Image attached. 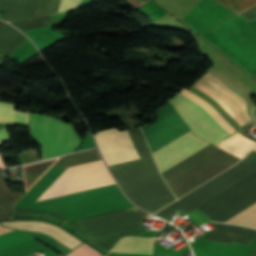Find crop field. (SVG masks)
I'll return each instance as SVG.
<instances>
[{"label": "crop field", "mask_w": 256, "mask_h": 256, "mask_svg": "<svg viewBox=\"0 0 256 256\" xmlns=\"http://www.w3.org/2000/svg\"><path fill=\"white\" fill-rule=\"evenodd\" d=\"M116 167L135 197L128 190ZM116 167L111 166L110 169L123 192L142 209L155 213L153 210L158 211L175 201L174 196L160 177L152 157L119 164ZM133 197L153 210L143 206Z\"/></svg>", "instance_id": "8a807250"}, {"label": "crop field", "mask_w": 256, "mask_h": 256, "mask_svg": "<svg viewBox=\"0 0 256 256\" xmlns=\"http://www.w3.org/2000/svg\"><path fill=\"white\" fill-rule=\"evenodd\" d=\"M239 160L211 144L162 175L171 191L179 198Z\"/></svg>", "instance_id": "ac0d7876"}, {"label": "crop field", "mask_w": 256, "mask_h": 256, "mask_svg": "<svg viewBox=\"0 0 256 256\" xmlns=\"http://www.w3.org/2000/svg\"><path fill=\"white\" fill-rule=\"evenodd\" d=\"M146 213L136 207L69 222L79 233L106 251L123 237L139 236Z\"/></svg>", "instance_id": "34b2d1b8"}, {"label": "crop field", "mask_w": 256, "mask_h": 256, "mask_svg": "<svg viewBox=\"0 0 256 256\" xmlns=\"http://www.w3.org/2000/svg\"><path fill=\"white\" fill-rule=\"evenodd\" d=\"M196 109H198L225 137L236 131L223 118H221L205 101L184 88L176 93ZM173 96L168 101L174 106L193 133L215 145L225 138L204 116L194 107Z\"/></svg>", "instance_id": "412701ff"}, {"label": "crop field", "mask_w": 256, "mask_h": 256, "mask_svg": "<svg viewBox=\"0 0 256 256\" xmlns=\"http://www.w3.org/2000/svg\"><path fill=\"white\" fill-rule=\"evenodd\" d=\"M255 172L256 168L241 161L156 214L165 219L176 210L187 214Z\"/></svg>", "instance_id": "f4fd0767"}, {"label": "crop field", "mask_w": 256, "mask_h": 256, "mask_svg": "<svg viewBox=\"0 0 256 256\" xmlns=\"http://www.w3.org/2000/svg\"><path fill=\"white\" fill-rule=\"evenodd\" d=\"M128 131L140 157L152 156L140 128L137 127ZM128 131H119L118 127H115L94 134L107 165L111 166L140 158Z\"/></svg>", "instance_id": "dd49c442"}, {"label": "crop field", "mask_w": 256, "mask_h": 256, "mask_svg": "<svg viewBox=\"0 0 256 256\" xmlns=\"http://www.w3.org/2000/svg\"><path fill=\"white\" fill-rule=\"evenodd\" d=\"M113 183L103 161L86 163L67 168L36 201Z\"/></svg>", "instance_id": "e52e79f7"}, {"label": "crop field", "mask_w": 256, "mask_h": 256, "mask_svg": "<svg viewBox=\"0 0 256 256\" xmlns=\"http://www.w3.org/2000/svg\"><path fill=\"white\" fill-rule=\"evenodd\" d=\"M31 136L42 146V158L77 148L79 139L72 126L51 117L30 115Z\"/></svg>", "instance_id": "d8731c3e"}, {"label": "crop field", "mask_w": 256, "mask_h": 256, "mask_svg": "<svg viewBox=\"0 0 256 256\" xmlns=\"http://www.w3.org/2000/svg\"><path fill=\"white\" fill-rule=\"evenodd\" d=\"M190 133L192 132L190 131L186 133L185 135L181 136L180 138L176 139L175 141L171 142L170 144L153 154L158 153L159 151L165 149L166 147L170 146L171 144L175 143L176 141L180 140L181 138L187 136ZM209 144L211 143L195 136L192 133L187 137L181 139L180 141L176 142L175 144L171 145L170 147L166 148L165 150L154 155V157L158 163L161 172H164Z\"/></svg>", "instance_id": "5a996713"}, {"label": "crop field", "mask_w": 256, "mask_h": 256, "mask_svg": "<svg viewBox=\"0 0 256 256\" xmlns=\"http://www.w3.org/2000/svg\"><path fill=\"white\" fill-rule=\"evenodd\" d=\"M59 158L24 166L25 190L27 191ZM22 196L19 194H9L0 175V218L14 217L12 206Z\"/></svg>", "instance_id": "3316defc"}, {"label": "crop field", "mask_w": 256, "mask_h": 256, "mask_svg": "<svg viewBox=\"0 0 256 256\" xmlns=\"http://www.w3.org/2000/svg\"><path fill=\"white\" fill-rule=\"evenodd\" d=\"M4 225L11 226L13 228L23 229V228H33L36 229L54 240L58 241L62 245L66 246L69 249H74L79 244L83 243L76 238H74L69 233L46 223L41 222H12V223H3Z\"/></svg>", "instance_id": "28ad6ade"}, {"label": "crop field", "mask_w": 256, "mask_h": 256, "mask_svg": "<svg viewBox=\"0 0 256 256\" xmlns=\"http://www.w3.org/2000/svg\"><path fill=\"white\" fill-rule=\"evenodd\" d=\"M33 0H0V9L4 10L3 19L20 21L29 18Z\"/></svg>", "instance_id": "d1516ede"}, {"label": "crop field", "mask_w": 256, "mask_h": 256, "mask_svg": "<svg viewBox=\"0 0 256 256\" xmlns=\"http://www.w3.org/2000/svg\"><path fill=\"white\" fill-rule=\"evenodd\" d=\"M25 39L18 31L4 24L0 27V62L18 48Z\"/></svg>", "instance_id": "22f410ed"}, {"label": "crop field", "mask_w": 256, "mask_h": 256, "mask_svg": "<svg viewBox=\"0 0 256 256\" xmlns=\"http://www.w3.org/2000/svg\"><path fill=\"white\" fill-rule=\"evenodd\" d=\"M154 239L124 238L117 246L153 248ZM115 247L112 252L153 254V249Z\"/></svg>", "instance_id": "cbeb9de0"}, {"label": "crop field", "mask_w": 256, "mask_h": 256, "mask_svg": "<svg viewBox=\"0 0 256 256\" xmlns=\"http://www.w3.org/2000/svg\"><path fill=\"white\" fill-rule=\"evenodd\" d=\"M101 159L99 156V153L96 149L76 153V154H71L62 157L56 165L65 168L73 165H78L86 162H91L95 160Z\"/></svg>", "instance_id": "5142ce71"}, {"label": "crop field", "mask_w": 256, "mask_h": 256, "mask_svg": "<svg viewBox=\"0 0 256 256\" xmlns=\"http://www.w3.org/2000/svg\"><path fill=\"white\" fill-rule=\"evenodd\" d=\"M29 113H20L14 111V105L0 103V122L24 123L27 124Z\"/></svg>", "instance_id": "d9b57169"}, {"label": "crop field", "mask_w": 256, "mask_h": 256, "mask_svg": "<svg viewBox=\"0 0 256 256\" xmlns=\"http://www.w3.org/2000/svg\"><path fill=\"white\" fill-rule=\"evenodd\" d=\"M11 231L10 229H6L0 227V234ZM33 239L31 236L20 232V231H11L5 234L0 235V249Z\"/></svg>", "instance_id": "733c2abd"}, {"label": "crop field", "mask_w": 256, "mask_h": 256, "mask_svg": "<svg viewBox=\"0 0 256 256\" xmlns=\"http://www.w3.org/2000/svg\"><path fill=\"white\" fill-rule=\"evenodd\" d=\"M59 2L60 0H34L30 18L56 13Z\"/></svg>", "instance_id": "4a817a6b"}, {"label": "crop field", "mask_w": 256, "mask_h": 256, "mask_svg": "<svg viewBox=\"0 0 256 256\" xmlns=\"http://www.w3.org/2000/svg\"><path fill=\"white\" fill-rule=\"evenodd\" d=\"M227 223L239 224L248 227H255L256 226V204L248 208L247 210L243 211L242 213L238 214L237 216L233 217ZM256 228V227H255Z\"/></svg>", "instance_id": "bc2a9ffb"}, {"label": "crop field", "mask_w": 256, "mask_h": 256, "mask_svg": "<svg viewBox=\"0 0 256 256\" xmlns=\"http://www.w3.org/2000/svg\"><path fill=\"white\" fill-rule=\"evenodd\" d=\"M228 7L232 8L236 12L240 13L254 5H256V0H218Z\"/></svg>", "instance_id": "214f88e0"}, {"label": "crop field", "mask_w": 256, "mask_h": 256, "mask_svg": "<svg viewBox=\"0 0 256 256\" xmlns=\"http://www.w3.org/2000/svg\"><path fill=\"white\" fill-rule=\"evenodd\" d=\"M67 256H100V254L98 251L83 243Z\"/></svg>", "instance_id": "92a150f3"}, {"label": "crop field", "mask_w": 256, "mask_h": 256, "mask_svg": "<svg viewBox=\"0 0 256 256\" xmlns=\"http://www.w3.org/2000/svg\"><path fill=\"white\" fill-rule=\"evenodd\" d=\"M82 0H61L57 13L77 9Z\"/></svg>", "instance_id": "dafd665d"}, {"label": "crop field", "mask_w": 256, "mask_h": 256, "mask_svg": "<svg viewBox=\"0 0 256 256\" xmlns=\"http://www.w3.org/2000/svg\"><path fill=\"white\" fill-rule=\"evenodd\" d=\"M128 1L131 2L132 4H134L135 6L139 7L143 3H145L147 0H128Z\"/></svg>", "instance_id": "00972430"}, {"label": "crop field", "mask_w": 256, "mask_h": 256, "mask_svg": "<svg viewBox=\"0 0 256 256\" xmlns=\"http://www.w3.org/2000/svg\"><path fill=\"white\" fill-rule=\"evenodd\" d=\"M7 138H9V137H8V135H7L6 131H5V129L1 130V131H0V142H1L2 140H4V139H7Z\"/></svg>", "instance_id": "a9b5d70f"}, {"label": "crop field", "mask_w": 256, "mask_h": 256, "mask_svg": "<svg viewBox=\"0 0 256 256\" xmlns=\"http://www.w3.org/2000/svg\"><path fill=\"white\" fill-rule=\"evenodd\" d=\"M2 167H5V166H4V164H3V162H2V160L0 158V168H2Z\"/></svg>", "instance_id": "4177f3b9"}, {"label": "crop field", "mask_w": 256, "mask_h": 256, "mask_svg": "<svg viewBox=\"0 0 256 256\" xmlns=\"http://www.w3.org/2000/svg\"><path fill=\"white\" fill-rule=\"evenodd\" d=\"M3 24H4V22H1V21H0V26L3 25Z\"/></svg>", "instance_id": "730fd06b"}]
</instances>
